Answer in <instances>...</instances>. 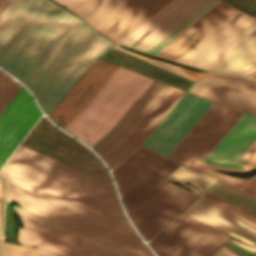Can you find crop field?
Instances as JSON below:
<instances>
[{"instance_id":"e52e79f7","label":"crop field","mask_w":256,"mask_h":256,"mask_svg":"<svg viewBox=\"0 0 256 256\" xmlns=\"http://www.w3.org/2000/svg\"><path fill=\"white\" fill-rule=\"evenodd\" d=\"M22 145L113 185L96 155L42 117Z\"/></svg>"},{"instance_id":"d32e631a","label":"crop field","mask_w":256,"mask_h":256,"mask_svg":"<svg viewBox=\"0 0 256 256\" xmlns=\"http://www.w3.org/2000/svg\"><path fill=\"white\" fill-rule=\"evenodd\" d=\"M228 4L250 14H256V0H223Z\"/></svg>"},{"instance_id":"f4fd0767","label":"crop field","mask_w":256,"mask_h":256,"mask_svg":"<svg viewBox=\"0 0 256 256\" xmlns=\"http://www.w3.org/2000/svg\"><path fill=\"white\" fill-rule=\"evenodd\" d=\"M6 199L130 256H154L140 241L7 183Z\"/></svg>"},{"instance_id":"425ffa30","label":"crop field","mask_w":256,"mask_h":256,"mask_svg":"<svg viewBox=\"0 0 256 256\" xmlns=\"http://www.w3.org/2000/svg\"><path fill=\"white\" fill-rule=\"evenodd\" d=\"M0 243H1V239H0Z\"/></svg>"},{"instance_id":"03da06ac","label":"crop field","mask_w":256,"mask_h":256,"mask_svg":"<svg viewBox=\"0 0 256 256\" xmlns=\"http://www.w3.org/2000/svg\"><path fill=\"white\" fill-rule=\"evenodd\" d=\"M229 249V248H228ZM226 247H222V248H220L219 250H221L223 253H225L226 255H228V256H237V255H235L233 252H231L230 250H228Z\"/></svg>"},{"instance_id":"cbeb9de0","label":"crop field","mask_w":256,"mask_h":256,"mask_svg":"<svg viewBox=\"0 0 256 256\" xmlns=\"http://www.w3.org/2000/svg\"><path fill=\"white\" fill-rule=\"evenodd\" d=\"M118 67L119 65L98 58L56 109L49 114V117L63 128L80 112Z\"/></svg>"},{"instance_id":"bd1437ed","label":"crop field","mask_w":256,"mask_h":256,"mask_svg":"<svg viewBox=\"0 0 256 256\" xmlns=\"http://www.w3.org/2000/svg\"><path fill=\"white\" fill-rule=\"evenodd\" d=\"M22 85L16 83L0 70V113Z\"/></svg>"},{"instance_id":"5a996713","label":"crop field","mask_w":256,"mask_h":256,"mask_svg":"<svg viewBox=\"0 0 256 256\" xmlns=\"http://www.w3.org/2000/svg\"><path fill=\"white\" fill-rule=\"evenodd\" d=\"M241 114L214 103L169 157L188 166L205 157Z\"/></svg>"},{"instance_id":"733c2abd","label":"crop field","mask_w":256,"mask_h":256,"mask_svg":"<svg viewBox=\"0 0 256 256\" xmlns=\"http://www.w3.org/2000/svg\"><path fill=\"white\" fill-rule=\"evenodd\" d=\"M170 0H127L94 29L118 43Z\"/></svg>"},{"instance_id":"92a150f3","label":"crop field","mask_w":256,"mask_h":256,"mask_svg":"<svg viewBox=\"0 0 256 256\" xmlns=\"http://www.w3.org/2000/svg\"><path fill=\"white\" fill-rule=\"evenodd\" d=\"M233 11H235V9L220 2L191 27L184 31L180 36L173 40L169 45L162 49L158 54H156V56L174 61L188 47L209 32ZM200 28L202 29L198 31ZM196 31L198 32L181 46V44Z\"/></svg>"},{"instance_id":"d23c7cc5","label":"crop field","mask_w":256,"mask_h":256,"mask_svg":"<svg viewBox=\"0 0 256 256\" xmlns=\"http://www.w3.org/2000/svg\"><path fill=\"white\" fill-rule=\"evenodd\" d=\"M253 78H254V79H256V76H255V77H253ZM254 79H253V80H254Z\"/></svg>"},{"instance_id":"5142ce71","label":"crop field","mask_w":256,"mask_h":256,"mask_svg":"<svg viewBox=\"0 0 256 256\" xmlns=\"http://www.w3.org/2000/svg\"><path fill=\"white\" fill-rule=\"evenodd\" d=\"M22 90L29 96L41 115L31 96L22 86L0 114V118ZM23 91L0 120V167L40 117L28 96Z\"/></svg>"},{"instance_id":"5866460e","label":"crop field","mask_w":256,"mask_h":256,"mask_svg":"<svg viewBox=\"0 0 256 256\" xmlns=\"http://www.w3.org/2000/svg\"><path fill=\"white\" fill-rule=\"evenodd\" d=\"M204 196H206V197H208V198H210V199H212V200H214V201H216V202H218V203H220V204H222V205L240 213L241 215L249 218L250 220L256 222V218L253 217L252 215H250V214H248V213H246V212H244V211H242V210H240V209H238V208H236V207H234V206H232V205H230V204H228V203H226V202H224V201H222V200H220V199H218V198H216V197H214V196H212L208 193H205Z\"/></svg>"},{"instance_id":"b54c1fbb","label":"crop field","mask_w":256,"mask_h":256,"mask_svg":"<svg viewBox=\"0 0 256 256\" xmlns=\"http://www.w3.org/2000/svg\"><path fill=\"white\" fill-rule=\"evenodd\" d=\"M212 256H226L225 254H223L221 251H217L215 254H213Z\"/></svg>"},{"instance_id":"730fd06b","label":"crop field","mask_w":256,"mask_h":256,"mask_svg":"<svg viewBox=\"0 0 256 256\" xmlns=\"http://www.w3.org/2000/svg\"><path fill=\"white\" fill-rule=\"evenodd\" d=\"M167 180H170L172 182H175L199 195H201L204 191H206L212 184H214L216 181L212 180L210 178H207L203 175H200L198 173H195L193 171H190L182 166H179L174 172H172L167 178ZM182 181L195 186L199 189L193 188Z\"/></svg>"},{"instance_id":"412701ff","label":"crop field","mask_w":256,"mask_h":256,"mask_svg":"<svg viewBox=\"0 0 256 256\" xmlns=\"http://www.w3.org/2000/svg\"><path fill=\"white\" fill-rule=\"evenodd\" d=\"M178 166L167 159L122 198L131 220L145 240L199 197L163 180Z\"/></svg>"},{"instance_id":"c035e120","label":"crop field","mask_w":256,"mask_h":256,"mask_svg":"<svg viewBox=\"0 0 256 256\" xmlns=\"http://www.w3.org/2000/svg\"><path fill=\"white\" fill-rule=\"evenodd\" d=\"M255 74H256V64H255L252 68L248 69V70L244 73V75H247V76H250V77H252V76L255 75Z\"/></svg>"},{"instance_id":"8a807250","label":"crop field","mask_w":256,"mask_h":256,"mask_svg":"<svg viewBox=\"0 0 256 256\" xmlns=\"http://www.w3.org/2000/svg\"><path fill=\"white\" fill-rule=\"evenodd\" d=\"M97 34L49 0H13L0 20V66L48 113L114 44Z\"/></svg>"},{"instance_id":"eef30255","label":"crop field","mask_w":256,"mask_h":256,"mask_svg":"<svg viewBox=\"0 0 256 256\" xmlns=\"http://www.w3.org/2000/svg\"><path fill=\"white\" fill-rule=\"evenodd\" d=\"M256 139V117L230 145L220 158L239 159Z\"/></svg>"},{"instance_id":"25e5ab78","label":"crop field","mask_w":256,"mask_h":256,"mask_svg":"<svg viewBox=\"0 0 256 256\" xmlns=\"http://www.w3.org/2000/svg\"><path fill=\"white\" fill-rule=\"evenodd\" d=\"M254 17H256V15H254Z\"/></svg>"},{"instance_id":"d8731c3e","label":"crop field","mask_w":256,"mask_h":256,"mask_svg":"<svg viewBox=\"0 0 256 256\" xmlns=\"http://www.w3.org/2000/svg\"><path fill=\"white\" fill-rule=\"evenodd\" d=\"M255 28V19L236 10L175 61L206 69Z\"/></svg>"},{"instance_id":"120bbe31","label":"crop field","mask_w":256,"mask_h":256,"mask_svg":"<svg viewBox=\"0 0 256 256\" xmlns=\"http://www.w3.org/2000/svg\"><path fill=\"white\" fill-rule=\"evenodd\" d=\"M14 208L17 209V210H19V211H21V212H24V213H26V214H28V215H30V216H33V217H35V218H37V219H39V220H42V221H44V222H46V223H48V224H51V225H53V226H55V227H57V228H60V229H62V230H64V231H66V232H69V233H71V234H73V235H75V236H78V237H80V238H82V239H84V240H87V241H89V242H91V243H93V244H96V245H98V246H100V247H102V248H105V249H107V250H109V251H111V252H114V253H116V254H118V255H120V256H127V255H125V254H123V253H120V252H118V251H116V250H114V249H112V248H109V247H107V246H105V245H103V244H100V243H98V242H96V241H94V240H91V239H89V238H87V237H85V236H82V235H80V234H78V233H76V232H74V231H71V230H69V229H67V228H65V227H62V226H60V225H58V224H56V223H53V222H51V221H49V220H47V219H44V218H42V217H40V216H38V215H36V214H33V213H31V212H29V211L23 209V208L17 207V206H15V205H14Z\"/></svg>"},{"instance_id":"dafd665d","label":"crop field","mask_w":256,"mask_h":256,"mask_svg":"<svg viewBox=\"0 0 256 256\" xmlns=\"http://www.w3.org/2000/svg\"><path fill=\"white\" fill-rule=\"evenodd\" d=\"M189 169L206 175L208 177L214 178L254 199H256V176L250 179H239L234 178L229 175L221 174L210 169L224 170L230 172H248L256 169V152L252 157L247 161L242 169H230L224 167L211 166L206 163L196 160Z\"/></svg>"},{"instance_id":"b80d0937","label":"crop field","mask_w":256,"mask_h":256,"mask_svg":"<svg viewBox=\"0 0 256 256\" xmlns=\"http://www.w3.org/2000/svg\"><path fill=\"white\" fill-rule=\"evenodd\" d=\"M12 0H5V2L3 3V5L0 8V18L2 17V15L4 14V12L6 11V9L8 8L9 4L11 3Z\"/></svg>"},{"instance_id":"4177f3b9","label":"crop field","mask_w":256,"mask_h":256,"mask_svg":"<svg viewBox=\"0 0 256 256\" xmlns=\"http://www.w3.org/2000/svg\"><path fill=\"white\" fill-rule=\"evenodd\" d=\"M208 193L252 214L256 217V200L218 182Z\"/></svg>"},{"instance_id":"214f88e0","label":"crop field","mask_w":256,"mask_h":256,"mask_svg":"<svg viewBox=\"0 0 256 256\" xmlns=\"http://www.w3.org/2000/svg\"><path fill=\"white\" fill-rule=\"evenodd\" d=\"M165 160L166 158L142 146L135 150L112 170L121 197Z\"/></svg>"},{"instance_id":"d3111659","label":"crop field","mask_w":256,"mask_h":256,"mask_svg":"<svg viewBox=\"0 0 256 256\" xmlns=\"http://www.w3.org/2000/svg\"><path fill=\"white\" fill-rule=\"evenodd\" d=\"M219 2L220 1L218 0H210L201 9H199L196 13H194L191 17H189L186 21H184L180 26H178L175 30H173L170 34H168L165 38H163L147 52L153 55L158 53L162 48L169 44L173 39L180 35L184 30H186L189 26H191L195 21H197L200 17H202L206 12H208Z\"/></svg>"},{"instance_id":"0bd39190","label":"crop field","mask_w":256,"mask_h":256,"mask_svg":"<svg viewBox=\"0 0 256 256\" xmlns=\"http://www.w3.org/2000/svg\"><path fill=\"white\" fill-rule=\"evenodd\" d=\"M255 150H256V140L240 160H247L254 153Z\"/></svg>"},{"instance_id":"1d83c4d3","label":"crop field","mask_w":256,"mask_h":256,"mask_svg":"<svg viewBox=\"0 0 256 256\" xmlns=\"http://www.w3.org/2000/svg\"><path fill=\"white\" fill-rule=\"evenodd\" d=\"M1 254L12 256H56L45 250L3 242Z\"/></svg>"},{"instance_id":"34b2d1b8","label":"crop field","mask_w":256,"mask_h":256,"mask_svg":"<svg viewBox=\"0 0 256 256\" xmlns=\"http://www.w3.org/2000/svg\"><path fill=\"white\" fill-rule=\"evenodd\" d=\"M152 81L120 66L63 129L92 146L113 127Z\"/></svg>"},{"instance_id":"28ad6ade","label":"crop field","mask_w":256,"mask_h":256,"mask_svg":"<svg viewBox=\"0 0 256 256\" xmlns=\"http://www.w3.org/2000/svg\"><path fill=\"white\" fill-rule=\"evenodd\" d=\"M17 213L24 226L19 228L18 242L38 245L59 256H118L19 211Z\"/></svg>"},{"instance_id":"028f5c9d","label":"crop field","mask_w":256,"mask_h":256,"mask_svg":"<svg viewBox=\"0 0 256 256\" xmlns=\"http://www.w3.org/2000/svg\"><path fill=\"white\" fill-rule=\"evenodd\" d=\"M200 199H202V200H204V201H206V202H208V203H210V204H212V205H214V206H216V207H218V208H220V209H222L224 211H227V212L231 213L232 215L238 217L239 219L245 221L246 223H248V224H250V225H252L253 227L256 228V224L255 223H253L250 220H248V219H246V218L236 214L235 212H233V211H231V210H229V209H227V208H225V207H223V206H221V205H219V204H217V203H215V202H213V201H211V200H209V199H207V198H205L203 196L200 197Z\"/></svg>"},{"instance_id":"ac0d7876","label":"crop field","mask_w":256,"mask_h":256,"mask_svg":"<svg viewBox=\"0 0 256 256\" xmlns=\"http://www.w3.org/2000/svg\"><path fill=\"white\" fill-rule=\"evenodd\" d=\"M0 176L14 185L139 238L123 217L114 187L106 182L22 145L0 170Z\"/></svg>"},{"instance_id":"3316defc","label":"crop field","mask_w":256,"mask_h":256,"mask_svg":"<svg viewBox=\"0 0 256 256\" xmlns=\"http://www.w3.org/2000/svg\"><path fill=\"white\" fill-rule=\"evenodd\" d=\"M212 104L186 93L143 145L168 156Z\"/></svg>"},{"instance_id":"bc2a9ffb","label":"crop field","mask_w":256,"mask_h":256,"mask_svg":"<svg viewBox=\"0 0 256 256\" xmlns=\"http://www.w3.org/2000/svg\"><path fill=\"white\" fill-rule=\"evenodd\" d=\"M184 213L197 218L205 223H208L218 229H221L253 246H255L251 240L241 236L232 229L244 234L245 236L256 241V230L237 220L228 213L198 199L191 206H189ZM232 229H230V228ZM230 242L243 247L256 254V248L245 245L235 239L230 240ZM256 244V243H255ZM256 247V246H255Z\"/></svg>"},{"instance_id":"d1516ede","label":"crop field","mask_w":256,"mask_h":256,"mask_svg":"<svg viewBox=\"0 0 256 256\" xmlns=\"http://www.w3.org/2000/svg\"><path fill=\"white\" fill-rule=\"evenodd\" d=\"M209 0H172L119 44L146 52Z\"/></svg>"},{"instance_id":"4a817a6b","label":"crop field","mask_w":256,"mask_h":256,"mask_svg":"<svg viewBox=\"0 0 256 256\" xmlns=\"http://www.w3.org/2000/svg\"><path fill=\"white\" fill-rule=\"evenodd\" d=\"M184 93L172 87L169 89L130 136L103 159L109 169H112L143 142Z\"/></svg>"},{"instance_id":"73cf0c24","label":"crop field","mask_w":256,"mask_h":256,"mask_svg":"<svg viewBox=\"0 0 256 256\" xmlns=\"http://www.w3.org/2000/svg\"><path fill=\"white\" fill-rule=\"evenodd\" d=\"M2 256H4V255H2Z\"/></svg>"},{"instance_id":"22f410ed","label":"crop field","mask_w":256,"mask_h":256,"mask_svg":"<svg viewBox=\"0 0 256 256\" xmlns=\"http://www.w3.org/2000/svg\"><path fill=\"white\" fill-rule=\"evenodd\" d=\"M188 91L256 115L255 81L212 73L197 81Z\"/></svg>"},{"instance_id":"c21b1889","label":"crop field","mask_w":256,"mask_h":256,"mask_svg":"<svg viewBox=\"0 0 256 256\" xmlns=\"http://www.w3.org/2000/svg\"><path fill=\"white\" fill-rule=\"evenodd\" d=\"M255 62H256V58L253 61H251L248 65H246L243 69H241L236 74L241 75L246 69L250 68L253 64H255Z\"/></svg>"},{"instance_id":"5d738f31","label":"crop field","mask_w":256,"mask_h":256,"mask_svg":"<svg viewBox=\"0 0 256 256\" xmlns=\"http://www.w3.org/2000/svg\"><path fill=\"white\" fill-rule=\"evenodd\" d=\"M3 1H4V0H0V6H1V4L3 3Z\"/></svg>"},{"instance_id":"ae1a2a85","label":"crop field","mask_w":256,"mask_h":256,"mask_svg":"<svg viewBox=\"0 0 256 256\" xmlns=\"http://www.w3.org/2000/svg\"><path fill=\"white\" fill-rule=\"evenodd\" d=\"M253 118L254 116L243 113L206 157L219 158Z\"/></svg>"},{"instance_id":"a9b5d70f","label":"crop field","mask_w":256,"mask_h":256,"mask_svg":"<svg viewBox=\"0 0 256 256\" xmlns=\"http://www.w3.org/2000/svg\"><path fill=\"white\" fill-rule=\"evenodd\" d=\"M82 17L93 28L126 0H54Z\"/></svg>"},{"instance_id":"750c4746","label":"crop field","mask_w":256,"mask_h":256,"mask_svg":"<svg viewBox=\"0 0 256 256\" xmlns=\"http://www.w3.org/2000/svg\"><path fill=\"white\" fill-rule=\"evenodd\" d=\"M112 49H116V50H119V51L130 53V54L135 55V56H137L141 59H144L146 61L154 63V64H156L158 66H161V67H163L167 70H170L174 73H177V74L182 75L186 78H189L193 81H196V80L200 79L201 77L209 74V73L193 72V71L181 68V67H177V66L159 61V60H155V59H152V58H149V57H146V56H143V55H140V54L128 51V50H124V49L120 48L118 45H115L114 47H112Z\"/></svg>"},{"instance_id":"00972430","label":"crop field","mask_w":256,"mask_h":256,"mask_svg":"<svg viewBox=\"0 0 256 256\" xmlns=\"http://www.w3.org/2000/svg\"><path fill=\"white\" fill-rule=\"evenodd\" d=\"M255 57L256 29L207 68V70L235 74Z\"/></svg>"},{"instance_id":"d9b57169","label":"crop field","mask_w":256,"mask_h":256,"mask_svg":"<svg viewBox=\"0 0 256 256\" xmlns=\"http://www.w3.org/2000/svg\"><path fill=\"white\" fill-rule=\"evenodd\" d=\"M170 86L154 80L115 126L92 146L103 159L136 128Z\"/></svg>"},{"instance_id":"dd49c442","label":"crop field","mask_w":256,"mask_h":256,"mask_svg":"<svg viewBox=\"0 0 256 256\" xmlns=\"http://www.w3.org/2000/svg\"><path fill=\"white\" fill-rule=\"evenodd\" d=\"M230 238L182 213L148 244L158 256H210Z\"/></svg>"},{"instance_id":"e1f06a70","label":"crop field","mask_w":256,"mask_h":256,"mask_svg":"<svg viewBox=\"0 0 256 256\" xmlns=\"http://www.w3.org/2000/svg\"><path fill=\"white\" fill-rule=\"evenodd\" d=\"M4 196H5V184L0 179V236H1L2 224H3Z\"/></svg>"}]
</instances>
